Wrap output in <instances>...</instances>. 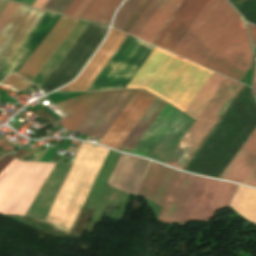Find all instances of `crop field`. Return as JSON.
Instances as JSON below:
<instances>
[{"label": "crop field", "mask_w": 256, "mask_h": 256, "mask_svg": "<svg viewBox=\"0 0 256 256\" xmlns=\"http://www.w3.org/2000/svg\"><path fill=\"white\" fill-rule=\"evenodd\" d=\"M82 0H75L72 5L69 7V9L66 11L65 15L71 16L72 13L75 11V9L78 7V5L81 3Z\"/></svg>", "instance_id": "obj_32"}, {"label": "crop field", "mask_w": 256, "mask_h": 256, "mask_svg": "<svg viewBox=\"0 0 256 256\" xmlns=\"http://www.w3.org/2000/svg\"><path fill=\"white\" fill-rule=\"evenodd\" d=\"M236 186L201 177L179 222L210 220L218 209L228 204Z\"/></svg>", "instance_id": "obj_8"}, {"label": "crop field", "mask_w": 256, "mask_h": 256, "mask_svg": "<svg viewBox=\"0 0 256 256\" xmlns=\"http://www.w3.org/2000/svg\"><path fill=\"white\" fill-rule=\"evenodd\" d=\"M108 152L82 144L45 220L47 223L70 232Z\"/></svg>", "instance_id": "obj_2"}, {"label": "crop field", "mask_w": 256, "mask_h": 256, "mask_svg": "<svg viewBox=\"0 0 256 256\" xmlns=\"http://www.w3.org/2000/svg\"><path fill=\"white\" fill-rule=\"evenodd\" d=\"M238 17L226 0H210L172 53L203 66Z\"/></svg>", "instance_id": "obj_3"}, {"label": "crop field", "mask_w": 256, "mask_h": 256, "mask_svg": "<svg viewBox=\"0 0 256 256\" xmlns=\"http://www.w3.org/2000/svg\"><path fill=\"white\" fill-rule=\"evenodd\" d=\"M212 73L155 47L126 88H144L184 113Z\"/></svg>", "instance_id": "obj_1"}, {"label": "crop field", "mask_w": 256, "mask_h": 256, "mask_svg": "<svg viewBox=\"0 0 256 256\" xmlns=\"http://www.w3.org/2000/svg\"><path fill=\"white\" fill-rule=\"evenodd\" d=\"M47 1H48V0H36V1L33 3L32 7H36V8L42 9L43 6L46 4Z\"/></svg>", "instance_id": "obj_34"}, {"label": "crop field", "mask_w": 256, "mask_h": 256, "mask_svg": "<svg viewBox=\"0 0 256 256\" xmlns=\"http://www.w3.org/2000/svg\"><path fill=\"white\" fill-rule=\"evenodd\" d=\"M14 158L10 155H7L0 159V173L3 171V169L13 160Z\"/></svg>", "instance_id": "obj_31"}, {"label": "crop field", "mask_w": 256, "mask_h": 256, "mask_svg": "<svg viewBox=\"0 0 256 256\" xmlns=\"http://www.w3.org/2000/svg\"><path fill=\"white\" fill-rule=\"evenodd\" d=\"M53 166L14 159L0 174V214L24 216Z\"/></svg>", "instance_id": "obj_4"}, {"label": "crop field", "mask_w": 256, "mask_h": 256, "mask_svg": "<svg viewBox=\"0 0 256 256\" xmlns=\"http://www.w3.org/2000/svg\"><path fill=\"white\" fill-rule=\"evenodd\" d=\"M45 11L20 5L0 31V69L37 24Z\"/></svg>", "instance_id": "obj_10"}, {"label": "crop field", "mask_w": 256, "mask_h": 256, "mask_svg": "<svg viewBox=\"0 0 256 256\" xmlns=\"http://www.w3.org/2000/svg\"><path fill=\"white\" fill-rule=\"evenodd\" d=\"M18 6L19 4L8 2L7 5L3 8V10L0 12V29L8 21Z\"/></svg>", "instance_id": "obj_27"}, {"label": "crop field", "mask_w": 256, "mask_h": 256, "mask_svg": "<svg viewBox=\"0 0 256 256\" xmlns=\"http://www.w3.org/2000/svg\"><path fill=\"white\" fill-rule=\"evenodd\" d=\"M148 163L145 159L122 154L107 184L133 194Z\"/></svg>", "instance_id": "obj_18"}, {"label": "crop field", "mask_w": 256, "mask_h": 256, "mask_svg": "<svg viewBox=\"0 0 256 256\" xmlns=\"http://www.w3.org/2000/svg\"><path fill=\"white\" fill-rule=\"evenodd\" d=\"M151 2V0H144L141 5L138 7V9L135 11V13L132 15V17L129 19V21L126 23V25L123 27L122 31L128 33V31L131 29V27L134 25V23L137 21V19L140 17L142 12L145 10V8L148 6V4Z\"/></svg>", "instance_id": "obj_26"}, {"label": "crop field", "mask_w": 256, "mask_h": 256, "mask_svg": "<svg viewBox=\"0 0 256 256\" xmlns=\"http://www.w3.org/2000/svg\"><path fill=\"white\" fill-rule=\"evenodd\" d=\"M178 173V171L152 162L136 194L163 206Z\"/></svg>", "instance_id": "obj_16"}, {"label": "crop field", "mask_w": 256, "mask_h": 256, "mask_svg": "<svg viewBox=\"0 0 256 256\" xmlns=\"http://www.w3.org/2000/svg\"><path fill=\"white\" fill-rule=\"evenodd\" d=\"M208 1L184 0L153 44L171 52Z\"/></svg>", "instance_id": "obj_12"}, {"label": "crop field", "mask_w": 256, "mask_h": 256, "mask_svg": "<svg viewBox=\"0 0 256 256\" xmlns=\"http://www.w3.org/2000/svg\"><path fill=\"white\" fill-rule=\"evenodd\" d=\"M74 0H49L44 6V10L64 14Z\"/></svg>", "instance_id": "obj_25"}, {"label": "crop field", "mask_w": 256, "mask_h": 256, "mask_svg": "<svg viewBox=\"0 0 256 256\" xmlns=\"http://www.w3.org/2000/svg\"><path fill=\"white\" fill-rule=\"evenodd\" d=\"M253 89L256 95V73H255V78H254V84H253Z\"/></svg>", "instance_id": "obj_37"}, {"label": "crop field", "mask_w": 256, "mask_h": 256, "mask_svg": "<svg viewBox=\"0 0 256 256\" xmlns=\"http://www.w3.org/2000/svg\"><path fill=\"white\" fill-rule=\"evenodd\" d=\"M27 151H25V150H20L19 152H17V153H15L13 156H15V157H20L21 155H23V154H25Z\"/></svg>", "instance_id": "obj_36"}, {"label": "crop field", "mask_w": 256, "mask_h": 256, "mask_svg": "<svg viewBox=\"0 0 256 256\" xmlns=\"http://www.w3.org/2000/svg\"><path fill=\"white\" fill-rule=\"evenodd\" d=\"M0 147L2 149H4L5 151H7V152H10V151L16 149V148H14L13 146H11L10 144H8L7 142H5L1 139H0Z\"/></svg>", "instance_id": "obj_33"}, {"label": "crop field", "mask_w": 256, "mask_h": 256, "mask_svg": "<svg viewBox=\"0 0 256 256\" xmlns=\"http://www.w3.org/2000/svg\"><path fill=\"white\" fill-rule=\"evenodd\" d=\"M225 80L226 77L214 72L200 93L185 111V114L196 120Z\"/></svg>", "instance_id": "obj_22"}, {"label": "crop field", "mask_w": 256, "mask_h": 256, "mask_svg": "<svg viewBox=\"0 0 256 256\" xmlns=\"http://www.w3.org/2000/svg\"><path fill=\"white\" fill-rule=\"evenodd\" d=\"M36 85V84H35ZM38 86V85H37ZM40 87V86H39Z\"/></svg>", "instance_id": "obj_38"}, {"label": "crop field", "mask_w": 256, "mask_h": 256, "mask_svg": "<svg viewBox=\"0 0 256 256\" xmlns=\"http://www.w3.org/2000/svg\"><path fill=\"white\" fill-rule=\"evenodd\" d=\"M134 92L135 90L103 92L75 131L101 139Z\"/></svg>", "instance_id": "obj_9"}, {"label": "crop field", "mask_w": 256, "mask_h": 256, "mask_svg": "<svg viewBox=\"0 0 256 256\" xmlns=\"http://www.w3.org/2000/svg\"><path fill=\"white\" fill-rule=\"evenodd\" d=\"M77 21L62 16L17 75L31 82Z\"/></svg>", "instance_id": "obj_13"}, {"label": "crop field", "mask_w": 256, "mask_h": 256, "mask_svg": "<svg viewBox=\"0 0 256 256\" xmlns=\"http://www.w3.org/2000/svg\"><path fill=\"white\" fill-rule=\"evenodd\" d=\"M155 97L137 90L115 119L99 144L118 150Z\"/></svg>", "instance_id": "obj_11"}, {"label": "crop field", "mask_w": 256, "mask_h": 256, "mask_svg": "<svg viewBox=\"0 0 256 256\" xmlns=\"http://www.w3.org/2000/svg\"><path fill=\"white\" fill-rule=\"evenodd\" d=\"M256 164V128L220 175V179L240 182Z\"/></svg>", "instance_id": "obj_19"}, {"label": "crop field", "mask_w": 256, "mask_h": 256, "mask_svg": "<svg viewBox=\"0 0 256 256\" xmlns=\"http://www.w3.org/2000/svg\"><path fill=\"white\" fill-rule=\"evenodd\" d=\"M4 83H7V84L15 86V87H18V88L23 89V90H25L30 85L27 82L23 81L22 79L14 76V75H9L5 79Z\"/></svg>", "instance_id": "obj_28"}, {"label": "crop field", "mask_w": 256, "mask_h": 256, "mask_svg": "<svg viewBox=\"0 0 256 256\" xmlns=\"http://www.w3.org/2000/svg\"><path fill=\"white\" fill-rule=\"evenodd\" d=\"M122 0H93L81 18L110 24L112 14Z\"/></svg>", "instance_id": "obj_23"}, {"label": "crop field", "mask_w": 256, "mask_h": 256, "mask_svg": "<svg viewBox=\"0 0 256 256\" xmlns=\"http://www.w3.org/2000/svg\"><path fill=\"white\" fill-rule=\"evenodd\" d=\"M193 122L166 104L131 153L164 163Z\"/></svg>", "instance_id": "obj_6"}, {"label": "crop field", "mask_w": 256, "mask_h": 256, "mask_svg": "<svg viewBox=\"0 0 256 256\" xmlns=\"http://www.w3.org/2000/svg\"><path fill=\"white\" fill-rule=\"evenodd\" d=\"M91 1L92 0H83L72 16L79 18Z\"/></svg>", "instance_id": "obj_30"}, {"label": "crop field", "mask_w": 256, "mask_h": 256, "mask_svg": "<svg viewBox=\"0 0 256 256\" xmlns=\"http://www.w3.org/2000/svg\"><path fill=\"white\" fill-rule=\"evenodd\" d=\"M142 1L143 0H127L119 9L113 27L121 30Z\"/></svg>", "instance_id": "obj_24"}, {"label": "crop field", "mask_w": 256, "mask_h": 256, "mask_svg": "<svg viewBox=\"0 0 256 256\" xmlns=\"http://www.w3.org/2000/svg\"><path fill=\"white\" fill-rule=\"evenodd\" d=\"M249 26H250L251 33H252V36H253V40H254L255 47H256V27L251 25V24H249Z\"/></svg>", "instance_id": "obj_35"}, {"label": "crop field", "mask_w": 256, "mask_h": 256, "mask_svg": "<svg viewBox=\"0 0 256 256\" xmlns=\"http://www.w3.org/2000/svg\"><path fill=\"white\" fill-rule=\"evenodd\" d=\"M250 63V42L244 23L239 18L204 67L240 82Z\"/></svg>", "instance_id": "obj_7"}, {"label": "crop field", "mask_w": 256, "mask_h": 256, "mask_svg": "<svg viewBox=\"0 0 256 256\" xmlns=\"http://www.w3.org/2000/svg\"><path fill=\"white\" fill-rule=\"evenodd\" d=\"M200 177L180 172L158 217L166 224L177 223Z\"/></svg>", "instance_id": "obj_17"}, {"label": "crop field", "mask_w": 256, "mask_h": 256, "mask_svg": "<svg viewBox=\"0 0 256 256\" xmlns=\"http://www.w3.org/2000/svg\"><path fill=\"white\" fill-rule=\"evenodd\" d=\"M182 1L152 0L129 34L152 43Z\"/></svg>", "instance_id": "obj_14"}, {"label": "crop field", "mask_w": 256, "mask_h": 256, "mask_svg": "<svg viewBox=\"0 0 256 256\" xmlns=\"http://www.w3.org/2000/svg\"><path fill=\"white\" fill-rule=\"evenodd\" d=\"M242 87L243 84L227 78L165 164L182 169Z\"/></svg>", "instance_id": "obj_5"}, {"label": "crop field", "mask_w": 256, "mask_h": 256, "mask_svg": "<svg viewBox=\"0 0 256 256\" xmlns=\"http://www.w3.org/2000/svg\"><path fill=\"white\" fill-rule=\"evenodd\" d=\"M165 104L166 103L155 98V100L152 102V104L147 109L145 114L142 116L140 121L134 127V129L129 134L127 139L124 141L122 146L120 145V151L130 153V151L133 149V147L145 133L147 128L150 126V124L153 122V120L156 118V116L159 114V112L162 110Z\"/></svg>", "instance_id": "obj_21"}, {"label": "crop field", "mask_w": 256, "mask_h": 256, "mask_svg": "<svg viewBox=\"0 0 256 256\" xmlns=\"http://www.w3.org/2000/svg\"><path fill=\"white\" fill-rule=\"evenodd\" d=\"M243 183L256 187V165Z\"/></svg>", "instance_id": "obj_29"}, {"label": "crop field", "mask_w": 256, "mask_h": 256, "mask_svg": "<svg viewBox=\"0 0 256 256\" xmlns=\"http://www.w3.org/2000/svg\"><path fill=\"white\" fill-rule=\"evenodd\" d=\"M125 37L126 34L112 28L107 39L80 77L57 91H87Z\"/></svg>", "instance_id": "obj_15"}, {"label": "crop field", "mask_w": 256, "mask_h": 256, "mask_svg": "<svg viewBox=\"0 0 256 256\" xmlns=\"http://www.w3.org/2000/svg\"><path fill=\"white\" fill-rule=\"evenodd\" d=\"M102 92L90 93L60 104H57L60 108L65 110L70 115L58 122L64 128L74 131L98 97Z\"/></svg>", "instance_id": "obj_20"}]
</instances>
